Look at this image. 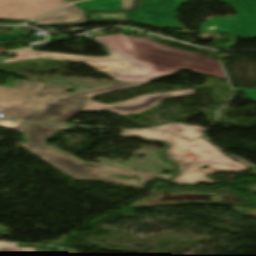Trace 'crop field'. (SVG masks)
I'll list each match as a JSON object with an SVG mask.
<instances>
[{
    "instance_id": "8a807250",
    "label": "crop field",
    "mask_w": 256,
    "mask_h": 256,
    "mask_svg": "<svg viewBox=\"0 0 256 256\" xmlns=\"http://www.w3.org/2000/svg\"><path fill=\"white\" fill-rule=\"evenodd\" d=\"M142 84L146 83L118 82L69 94L65 93L72 88L69 86L21 80L15 83L14 87L0 86V113H4L3 117L25 122L63 123L77 112L107 110L120 115L135 114L156 105L165 97L193 95V90L144 95L115 105L90 101L93 96ZM21 85L23 86L20 87ZM77 101L82 104H77Z\"/></svg>"
},
{
    "instance_id": "ac0d7876",
    "label": "crop field",
    "mask_w": 256,
    "mask_h": 256,
    "mask_svg": "<svg viewBox=\"0 0 256 256\" xmlns=\"http://www.w3.org/2000/svg\"><path fill=\"white\" fill-rule=\"evenodd\" d=\"M96 41L107 46L110 57H87L26 49L17 51L18 57L1 62L10 63L37 57L94 63L128 61L131 68H136L141 74L111 73V77L119 81L150 82L183 69L219 79H226L218 61L195 53L165 47L146 38L115 35L97 37Z\"/></svg>"
},
{
    "instance_id": "34b2d1b8",
    "label": "crop field",
    "mask_w": 256,
    "mask_h": 256,
    "mask_svg": "<svg viewBox=\"0 0 256 256\" xmlns=\"http://www.w3.org/2000/svg\"><path fill=\"white\" fill-rule=\"evenodd\" d=\"M28 144L23 145L30 152L44 158L60 171L76 178L85 180H98L110 183L134 186L143 188L151 179L159 177L164 179L166 176L140 173L115 166H106L98 163H83L71 155H68L57 148L46 146L42 141L57 130L63 128H72L62 125H26L22 123ZM46 161V162H47ZM113 174L127 175L143 178L142 182L117 179Z\"/></svg>"
},
{
    "instance_id": "412701ff",
    "label": "crop field",
    "mask_w": 256,
    "mask_h": 256,
    "mask_svg": "<svg viewBox=\"0 0 256 256\" xmlns=\"http://www.w3.org/2000/svg\"><path fill=\"white\" fill-rule=\"evenodd\" d=\"M122 135L139 136L169 142L171 149L167 153L181 165V175L173 183L197 185V183H214L206 175L222 171L240 172L246 167L221 154L203 139L185 140L177 135L159 130L122 131ZM193 154L190 158L187 154ZM200 166L208 169L198 170Z\"/></svg>"
},
{
    "instance_id": "f4fd0767",
    "label": "crop field",
    "mask_w": 256,
    "mask_h": 256,
    "mask_svg": "<svg viewBox=\"0 0 256 256\" xmlns=\"http://www.w3.org/2000/svg\"><path fill=\"white\" fill-rule=\"evenodd\" d=\"M237 12L234 17H214L202 24L199 33L228 32L241 39L256 37V0H221Z\"/></svg>"
},
{
    "instance_id": "dd49c442",
    "label": "crop field",
    "mask_w": 256,
    "mask_h": 256,
    "mask_svg": "<svg viewBox=\"0 0 256 256\" xmlns=\"http://www.w3.org/2000/svg\"><path fill=\"white\" fill-rule=\"evenodd\" d=\"M187 1L189 0H142L135 11L124 14L129 22L185 30L174 20V14Z\"/></svg>"
},
{
    "instance_id": "e52e79f7",
    "label": "crop field",
    "mask_w": 256,
    "mask_h": 256,
    "mask_svg": "<svg viewBox=\"0 0 256 256\" xmlns=\"http://www.w3.org/2000/svg\"><path fill=\"white\" fill-rule=\"evenodd\" d=\"M65 4L63 0H0V19L30 20Z\"/></svg>"
},
{
    "instance_id": "d8731c3e",
    "label": "crop field",
    "mask_w": 256,
    "mask_h": 256,
    "mask_svg": "<svg viewBox=\"0 0 256 256\" xmlns=\"http://www.w3.org/2000/svg\"><path fill=\"white\" fill-rule=\"evenodd\" d=\"M85 13L73 5L63 7L36 20L37 24L81 22Z\"/></svg>"
},
{
    "instance_id": "5a996713",
    "label": "crop field",
    "mask_w": 256,
    "mask_h": 256,
    "mask_svg": "<svg viewBox=\"0 0 256 256\" xmlns=\"http://www.w3.org/2000/svg\"><path fill=\"white\" fill-rule=\"evenodd\" d=\"M159 129H163L169 132L176 133L178 135L184 136L186 138H195L201 135L206 129L201 126H188L182 123L170 124V125H162L156 127Z\"/></svg>"
},
{
    "instance_id": "3316defc",
    "label": "crop field",
    "mask_w": 256,
    "mask_h": 256,
    "mask_svg": "<svg viewBox=\"0 0 256 256\" xmlns=\"http://www.w3.org/2000/svg\"><path fill=\"white\" fill-rule=\"evenodd\" d=\"M76 6L87 10L123 9L120 0H89L76 4Z\"/></svg>"
},
{
    "instance_id": "28ad6ade",
    "label": "crop field",
    "mask_w": 256,
    "mask_h": 256,
    "mask_svg": "<svg viewBox=\"0 0 256 256\" xmlns=\"http://www.w3.org/2000/svg\"><path fill=\"white\" fill-rule=\"evenodd\" d=\"M35 248H18V244L0 242V256H32Z\"/></svg>"
},
{
    "instance_id": "d1516ede",
    "label": "crop field",
    "mask_w": 256,
    "mask_h": 256,
    "mask_svg": "<svg viewBox=\"0 0 256 256\" xmlns=\"http://www.w3.org/2000/svg\"><path fill=\"white\" fill-rule=\"evenodd\" d=\"M86 64L107 74H110V72L140 73L136 69H131L127 62L112 63V64H93V63H86Z\"/></svg>"
},
{
    "instance_id": "22f410ed",
    "label": "crop field",
    "mask_w": 256,
    "mask_h": 256,
    "mask_svg": "<svg viewBox=\"0 0 256 256\" xmlns=\"http://www.w3.org/2000/svg\"><path fill=\"white\" fill-rule=\"evenodd\" d=\"M0 127L20 130L19 124L8 120H0Z\"/></svg>"
},
{
    "instance_id": "cbeb9de0",
    "label": "crop field",
    "mask_w": 256,
    "mask_h": 256,
    "mask_svg": "<svg viewBox=\"0 0 256 256\" xmlns=\"http://www.w3.org/2000/svg\"><path fill=\"white\" fill-rule=\"evenodd\" d=\"M235 91L245 94L249 99L256 101V90L234 88Z\"/></svg>"
},
{
    "instance_id": "5142ce71",
    "label": "crop field",
    "mask_w": 256,
    "mask_h": 256,
    "mask_svg": "<svg viewBox=\"0 0 256 256\" xmlns=\"http://www.w3.org/2000/svg\"><path fill=\"white\" fill-rule=\"evenodd\" d=\"M21 35H5V34H0V40H6V41H14Z\"/></svg>"
},
{
    "instance_id": "d9b57169",
    "label": "crop field",
    "mask_w": 256,
    "mask_h": 256,
    "mask_svg": "<svg viewBox=\"0 0 256 256\" xmlns=\"http://www.w3.org/2000/svg\"><path fill=\"white\" fill-rule=\"evenodd\" d=\"M123 4L124 9H130L133 7V1L134 0H121Z\"/></svg>"
},
{
    "instance_id": "733c2abd",
    "label": "crop field",
    "mask_w": 256,
    "mask_h": 256,
    "mask_svg": "<svg viewBox=\"0 0 256 256\" xmlns=\"http://www.w3.org/2000/svg\"><path fill=\"white\" fill-rule=\"evenodd\" d=\"M69 1L74 2V1H78V0H69Z\"/></svg>"
}]
</instances>
